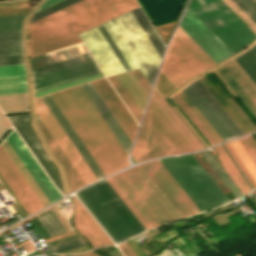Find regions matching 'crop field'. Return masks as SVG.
I'll use <instances>...</instances> for the list:
<instances>
[{"label":"crop field","instance_id":"obj_1","mask_svg":"<svg viewBox=\"0 0 256 256\" xmlns=\"http://www.w3.org/2000/svg\"><path fill=\"white\" fill-rule=\"evenodd\" d=\"M111 23L153 84L165 47L141 8L125 13ZM111 23L105 22L80 34L92 56L106 77L139 68L147 79Z\"/></svg>","mask_w":256,"mask_h":256},{"label":"crop field","instance_id":"obj_2","mask_svg":"<svg viewBox=\"0 0 256 256\" xmlns=\"http://www.w3.org/2000/svg\"><path fill=\"white\" fill-rule=\"evenodd\" d=\"M135 0H82L28 25L30 58L81 43L78 33L137 7Z\"/></svg>","mask_w":256,"mask_h":256},{"label":"crop field","instance_id":"obj_3","mask_svg":"<svg viewBox=\"0 0 256 256\" xmlns=\"http://www.w3.org/2000/svg\"><path fill=\"white\" fill-rule=\"evenodd\" d=\"M216 63L233 55L210 30L187 9L179 25ZM178 26L160 72L177 88L216 63Z\"/></svg>","mask_w":256,"mask_h":256},{"label":"crop field","instance_id":"obj_4","mask_svg":"<svg viewBox=\"0 0 256 256\" xmlns=\"http://www.w3.org/2000/svg\"><path fill=\"white\" fill-rule=\"evenodd\" d=\"M106 176L123 169L122 150L80 86L51 94Z\"/></svg>","mask_w":256,"mask_h":256},{"label":"crop field","instance_id":"obj_5","mask_svg":"<svg viewBox=\"0 0 256 256\" xmlns=\"http://www.w3.org/2000/svg\"><path fill=\"white\" fill-rule=\"evenodd\" d=\"M75 194L115 244L145 231L105 179Z\"/></svg>","mask_w":256,"mask_h":256},{"label":"crop field","instance_id":"obj_6","mask_svg":"<svg viewBox=\"0 0 256 256\" xmlns=\"http://www.w3.org/2000/svg\"><path fill=\"white\" fill-rule=\"evenodd\" d=\"M159 161L200 212L229 202L192 154Z\"/></svg>","mask_w":256,"mask_h":256},{"label":"crop field","instance_id":"obj_7","mask_svg":"<svg viewBox=\"0 0 256 256\" xmlns=\"http://www.w3.org/2000/svg\"><path fill=\"white\" fill-rule=\"evenodd\" d=\"M112 178L152 227L181 219L139 165Z\"/></svg>","mask_w":256,"mask_h":256},{"label":"crop field","instance_id":"obj_8","mask_svg":"<svg viewBox=\"0 0 256 256\" xmlns=\"http://www.w3.org/2000/svg\"><path fill=\"white\" fill-rule=\"evenodd\" d=\"M188 8L233 54L256 38L222 0H192Z\"/></svg>","mask_w":256,"mask_h":256},{"label":"crop field","instance_id":"obj_9","mask_svg":"<svg viewBox=\"0 0 256 256\" xmlns=\"http://www.w3.org/2000/svg\"><path fill=\"white\" fill-rule=\"evenodd\" d=\"M141 126L166 155L194 150L152 97Z\"/></svg>","mask_w":256,"mask_h":256},{"label":"crop field","instance_id":"obj_10","mask_svg":"<svg viewBox=\"0 0 256 256\" xmlns=\"http://www.w3.org/2000/svg\"><path fill=\"white\" fill-rule=\"evenodd\" d=\"M140 166L182 218L199 213L158 160L140 164Z\"/></svg>","mask_w":256,"mask_h":256},{"label":"crop field","instance_id":"obj_11","mask_svg":"<svg viewBox=\"0 0 256 256\" xmlns=\"http://www.w3.org/2000/svg\"><path fill=\"white\" fill-rule=\"evenodd\" d=\"M34 102L37 115L44 123L54 140L57 142L85 184L87 185L96 181V178L89 170L81 156L78 154L70 140L67 138L59 124L56 122L48 108L45 106L41 98L35 99Z\"/></svg>","mask_w":256,"mask_h":256},{"label":"crop field","instance_id":"obj_12","mask_svg":"<svg viewBox=\"0 0 256 256\" xmlns=\"http://www.w3.org/2000/svg\"><path fill=\"white\" fill-rule=\"evenodd\" d=\"M21 138L24 140L30 151L33 153L39 164L42 166L46 174L49 176L56 188L64 195L59 171L55 164L51 161L46 151L42 147L37 135L35 134L31 124L29 115L8 117Z\"/></svg>","mask_w":256,"mask_h":256},{"label":"crop field","instance_id":"obj_13","mask_svg":"<svg viewBox=\"0 0 256 256\" xmlns=\"http://www.w3.org/2000/svg\"><path fill=\"white\" fill-rule=\"evenodd\" d=\"M0 175L28 215L44 208L0 145Z\"/></svg>","mask_w":256,"mask_h":256},{"label":"crop field","instance_id":"obj_14","mask_svg":"<svg viewBox=\"0 0 256 256\" xmlns=\"http://www.w3.org/2000/svg\"><path fill=\"white\" fill-rule=\"evenodd\" d=\"M48 201L52 204L62 198L13 130L6 139Z\"/></svg>","mask_w":256,"mask_h":256},{"label":"crop field","instance_id":"obj_15","mask_svg":"<svg viewBox=\"0 0 256 256\" xmlns=\"http://www.w3.org/2000/svg\"><path fill=\"white\" fill-rule=\"evenodd\" d=\"M91 84L122 129L125 131L129 139L133 142L138 125L113 91L109 83L106 79L102 78L91 82Z\"/></svg>","mask_w":256,"mask_h":256},{"label":"crop field","instance_id":"obj_16","mask_svg":"<svg viewBox=\"0 0 256 256\" xmlns=\"http://www.w3.org/2000/svg\"><path fill=\"white\" fill-rule=\"evenodd\" d=\"M100 73L94 60L33 78L34 93Z\"/></svg>","mask_w":256,"mask_h":256},{"label":"crop field","instance_id":"obj_17","mask_svg":"<svg viewBox=\"0 0 256 256\" xmlns=\"http://www.w3.org/2000/svg\"><path fill=\"white\" fill-rule=\"evenodd\" d=\"M72 200L74 203L72 222L75 230L81 233L93 248L113 244L75 196Z\"/></svg>","mask_w":256,"mask_h":256},{"label":"crop field","instance_id":"obj_18","mask_svg":"<svg viewBox=\"0 0 256 256\" xmlns=\"http://www.w3.org/2000/svg\"><path fill=\"white\" fill-rule=\"evenodd\" d=\"M182 91L223 140L236 137L192 83L185 87Z\"/></svg>","mask_w":256,"mask_h":256},{"label":"crop field","instance_id":"obj_19","mask_svg":"<svg viewBox=\"0 0 256 256\" xmlns=\"http://www.w3.org/2000/svg\"><path fill=\"white\" fill-rule=\"evenodd\" d=\"M92 85V84H91ZM90 85V83L81 85V88L91 101V103L94 105L114 137L117 139L123 150L128 155L130 147L132 145L131 141L128 139L124 131L121 129L119 124L116 122L112 114L109 112L105 104L102 102L100 97L97 95L93 87Z\"/></svg>","mask_w":256,"mask_h":256},{"label":"crop field","instance_id":"obj_20","mask_svg":"<svg viewBox=\"0 0 256 256\" xmlns=\"http://www.w3.org/2000/svg\"><path fill=\"white\" fill-rule=\"evenodd\" d=\"M27 92L24 64L0 66V94Z\"/></svg>","mask_w":256,"mask_h":256},{"label":"crop field","instance_id":"obj_21","mask_svg":"<svg viewBox=\"0 0 256 256\" xmlns=\"http://www.w3.org/2000/svg\"><path fill=\"white\" fill-rule=\"evenodd\" d=\"M39 129L41 130L50 150L54 154V156L57 158V160L62 165L64 172H65V178L67 180L68 189L70 191L79 188L84 185L80 177L77 175L67 158L64 156L58 145L55 143L51 135L48 133L44 125L41 123V121L36 122Z\"/></svg>","mask_w":256,"mask_h":256},{"label":"crop field","instance_id":"obj_22","mask_svg":"<svg viewBox=\"0 0 256 256\" xmlns=\"http://www.w3.org/2000/svg\"><path fill=\"white\" fill-rule=\"evenodd\" d=\"M131 155L138 161L164 156L163 151L150 136L140 127Z\"/></svg>","mask_w":256,"mask_h":256},{"label":"crop field","instance_id":"obj_23","mask_svg":"<svg viewBox=\"0 0 256 256\" xmlns=\"http://www.w3.org/2000/svg\"><path fill=\"white\" fill-rule=\"evenodd\" d=\"M151 96L169 116V118L174 122V124L179 128V130L184 134V136L189 140V142L194 146V148L196 150L203 149V146L200 144L194 134L189 130V128L184 124V122L179 118V116L173 111V109L167 104V102L158 94L155 89H153Z\"/></svg>","mask_w":256,"mask_h":256},{"label":"crop field","instance_id":"obj_24","mask_svg":"<svg viewBox=\"0 0 256 256\" xmlns=\"http://www.w3.org/2000/svg\"><path fill=\"white\" fill-rule=\"evenodd\" d=\"M0 108L5 115L29 113L27 93L0 95Z\"/></svg>","mask_w":256,"mask_h":256},{"label":"crop field","instance_id":"obj_25","mask_svg":"<svg viewBox=\"0 0 256 256\" xmlns=\"http://www.w3.org/2000/svg\"><path fill=\"white\" fill-rule=\"evenodd\" d=\"M23 54L22 31L0 33V56Z\"/></svg>","mask_w":256,"mask_h":256},{"label":"crop field","instance_id":"obj_26","mask_svg":"<svg viewBox=\"0 0 256 256\" xmlns=\"http://www.w3.org/2000/svg\"><path fill=\"white\" fill-rule=\"evenodd\" d=\"M117 77L122 82L128 93L131 95L137 106L143 112L148 97L137 83L133 75L130 73V71H128L125 73L117 74Z\"/></svg>","mask_w":256,"mask_h":256},{"label":"crop field","instance_id":"obj_27","mask_svg":"<svg viewBox=\"0 0 256 256\" xmlns=\"http://www.w3.org/2000/svg\"><path fill=\"white\" fill-rule=\"evenodd\" d=\"M225 68L230 72L234 79L239 83L243 90L248 94L252 101L256 104V86L234 61L227 64Z\"/></svg>","mask_w":256,"mask_h":256},{"label":"crop field","instance_id":"obj_28","mask_svg":"<svg viewBox=\"0 0 256 256\" xmlns=\"http://www.w3.org/2000/svg\"><path fill=\"white\" fill-rule=\"evenodd\" d=\"M195 87L200 91V93L205 97V99L210 103V105L215 109V111L220 115V117L225 121V123L230 127V129L235 133L236 136H242V132L234 124V122L229 118L213 96L208 92L200 80L192 82Z\"/></svg>","mask_w":256,"mask_h":256},{"label":"crop field","instance_id":"obj_29","mask_svg":"<svg viewBox=\"0 0 256 256\" xmlns=\"http://www.w3.org/2000/svg\"><path fill=\"white\" fill-rule=\"evenodd\" d=\"M209 92L214 96L230 118L235 122L239 129L243 132L244 135L251 133L249 129L244 125V123L239 119L235 112L230 108V106L225 102V100L220 96L216 89L211 85V83L206 79L205 76L199 78Z\"/></svg>","mask_w":256,"mask_h":256},{"label":"crop field","instance_id":"obj_30","mask_svg":"<svg viewBox=\"0 0 256 256\" xmlns=\"http://www.w3.org/2000/svg\"><path fill=\"white\" fill-rule=\"evenodd\" d=\"M108 80L110 81L114 89L117 91V93L119 94V96L121 97V99L123 100L127 108L129 109V111L132 113V115L136 119V121L139 123L142 113L139 110V108L136 106V104L134 103L130 95L127 93V91L125 90L121 82L118 80L116 75L108 77Z\"/></svg>","mask_w":256,"mask_h":256},{"label":"crop field","instance_id":"obj_31","mask_svg":"<svg viewBox=\"0 0 256 256\" xmlns=\"http://www.w3.org/2000/svg\"><path fill=\"white\" fill-rule=\"evenodd\" d=\"M234 59L256 85V52L253 48L251 47Z\"/></svg>","mask_w":256,"mask_h":256},{"label":"crop field","instance_id":"obj_32","mask_svg":"<svg viewBox=\"0 0 256 256\" xmlns=\"http://www.w3.org/2000/svg\"><path fill=\"white\" fill-rule=\"evenodd\" d=\"M216 70L223 77V79L228 83V85L233 89V91L238 95V97L242 100V102L247 106V108L252 112V114L256 117L255 104L250 100V98L245 94V92L240 88V86L225 70L223 65Z\"/></svg>","mask_w":256,"mask_h":256},{"label":"crop field","instance_id":"obj_33","mask_svg":"<svg viewBox=\"0 0 256 256\" xmlns=\"http://www.w3.org/2000/svg\"><path fill=\"white\" fill-rule=\"evenodd\" d=\"M214 149L219 154L216 157L224 165V167L230 173V175L235 180V182L238 184V186L242 189V191L245 194L248 193L250 191L249 188L247 187V185L245 184V182L243 181V179L241 178V176L239 175V173L237 172V170L235 169V167L233 166V164L231 163V161L229 160V158L227 157V155L225 154V152L223 151L221 146H218Z\"/></svg>","mask_w":256,"mask_h":256},{"label":"crop field","instance_id":"obj_34","mask_svg":"<svg viewBox=\"0 0 256 256\" xmlns=\"http://www.w3.org/2000/svg\"><path fill=\"white\" fill-rule=\"evenodd\" d=\"M172 98L178 104V106L183 110V112L187 115V117L191 120V122L196 126V128L200 131V133L205 137V139L210 143V145L216 143L215 139L210 135V133L201 124V122L197 119V117L193 114V112L188 108V106L184 103V101L179 97V95L177 94Z\"/></svg>","mask_w":256,"mask_h":256},{"label":"crop field","instance_id":"obj_35","mask_svg":"<svg viewBox=\"0 0 256 256\" xmlns=\"http://www.w3.org/2000/svg\"><path fill=\"white\" fill-rule=\"evenodd\" d=\"M88 60H92V57L90 56V54L84 55V56H81V57H78V58H74V59H71V60H67V61H64V62H60V63L54 64V65H50V66H47V67H43V68H40V69H37V70H33L32 71V77L38 76V75H41V74H44V73H48V72H51V71H55V70H58V69H61V68H65V67H68V66H71V65H75V64H78V63H82V62H85V61H88Z\"/></svg>","mask_w":256,"mask_h":256},{"label":"crop field","instance_id":"obj_36","mask_svg":"<svg viewBox=\"0 0 256 256\" xmlns=\"http://www.w3.org/2000/svg\"><path fill=\"white\" fill-rule=\"evenodd\" d=\"M202 156L206 159V161L210 164V166L214 169V171L218 174V176L223 180V182L227 185V187L231 190V192L235 195L236 198L242 197L241 193L238 191L233 182L227 177V175L223 172L220 166L216 163V161L209 155L207 151L201 152Z\"/></svg>","mask_w":256,"mask_h":256},{"label":"crop field","instance_id":"obj_37","mask_svg":"<svg viewBox=\"0 0 256 256\" xmlns=\"http://www.w3.org/2000/svg\"><path fill=\"white\" fill-rule=\"evenodd\" d=\"M230 145L232 146L235 153L237 154V156L239 157V159L243 163L244 167L246 168V170L248 171V173L250 174V176L252 177L253 181L256 184V167H255V165L253 164V162L251 161V159L249 158L247 153L244 151V149L242 148V146L240 145L238 140L231 142Z\"/></svg>","mask_w":256,"mask_h":256},{"label":"crop field","instance_id":"obj_38","mask_svg":"<svg viewBox=\"0 0 256 256\" xmlns=\"http://www.w3.org/2000/svg\"><path fill=\"white\" fill-rule=\"evenodd\" d=\"M106 180L111 185V187L116 191V193L120 196V198L124 201V203L128 206V208L132 211V213L141 222V224L145 227V229L148 230V229L152 228L150 226V224L145 220V218L140 214V212L136 209V207L131 203V201L122 192V190L113 181L114 179L112 180V178L109 177V178H106Z\"/></svg>","mask_w":256,"mask_h":256},{"label":"crop field","instance_id":"obj_39","mask_svg":"<svg viewBox=\"0 0 256 256\" xmlns=\"http://www.w3.org/2000/svg\"><path fill=\"white\" fill-rule=\"evenodd\" d=\"M25 15L0 17V32L17 31L21 29V23Z\"/></svg>","mask_w":256,"mask_h":256},{"label":"crop field","instance_id":"obj_40","mask_svg":"<svg viewBox=\"0 0 256 256\" xmlns=\"http://www.w3.org/2000/svg\"><path fill=\"white\" fill-rule=\"evenodd\" d=\"M234 3L256 24V1L233 0Z\"/></svg>","mask_w":256,"mask_h":256},{"label":"crop field","instance_id":"obj_41","mask_svg":"<svg viewBox=\"0 0 256 256\" xmlns=\"http://www.w3.org/2000/svg\"><path fill=\"white\" fill-rule=\"evenodd\" d=\"M180 97L185 101L189 108L194 112L202 124L207 128L211 135L216 139L217 142L222 141L220 136L215 132V130L210 126V124L205 120V118L199 113V111L194 107V105L189 101V99L181 91L178 93Z\"/></svg>","mask_w":256,"mask_h":256},{"label":"crop field","instance_id":"obj_42","mask_svg":"<svg viewBox=\"0 0 256 256\" xmlns=\"http://www.w3.org/2000/svg\"><path fill=\"white\" fill-rule=\"evenodd\" d=\"M102 77H103V75H102V73H100V74L93 75V76H90V77H87V78H84V79H80V80H77V81H74V82H71V83H68V84L58 86V87H55V88H51V89H48V90H45V91H42V92L35 93L34 96L35 97L41 96V95H44V94H47V93L58 91V90H61V89H64V88L75 86V85L85 83V82H88V81H92V80L102 78Z\"/></svg>","mask_w":256,"mask_h":256},{"label":"crop field","instance_id":"obj_43","mask_svg":"<svg viewBox=\"0 0 256 256\" xmlns=\"http://www.w3.org/2000/svg\"><path fill=\"white\" fill-rule=\"evenodd\" d=\"M239 142L256 165V141L252 135L239 139Z\"/></svg>","mask_w":256,"mask_h":256},{"label":"crop field","instance_id":"obj_44","mask_svg":"<svg viewBox=\"0 0 256 256\" xmlns=\"http://www.w3.org/2000/svg\"><path fill=\"white\" fill-rule=\"evenodd\" d=\"M155 88L163 95H167L176 89L160 72L156 81ZM166 97V96H165Z\"/></svg>","mask_w":256,"mask_h":256},{"label":"crop field","instance_id":"obj_45","mask_svg":"<svg viewBox=\"0 0 256 256\" xmlns=\"http://www.w3.org/2000/svg\"><path fill=\"white\" fill-rule=\"evenodd\" d=\"M225 147L227 148V150L229 151V153L231 154V156L233 157V159L235 160V162L237 163V165L239 166V168L241 169V171L243 172V174L245 175V177L247 178V180L249 181V183L251 184L253 189L256 188V185L252 181L251 177L249 176V174L243 167L242 163L240 162V160L238 159V157L236 156V154L234 153V151L232 150L230 145L227 143V144H225Z\"/></svg>","mask_w":256,"mask_h":256},{"label":"crop field","instance_id":"obj_46","mask_svg":"<svg viewBox=\"0 0 256 256\" xmlns=\"http://www.w3.org/2000/svg\"><path fill=\"white\" fill-rule=\"evenodd\" d=\"M131 73L134 75V77L136 78L138 83L141 85V87L143 88L145 93L149 96V92H150L151 87L148 84V82L146 81V79L143 77V75L141 74L139 69L133 70V71H131Z\"/></svg>","mask_w":256,"mask_h":256},{"label":"crop field","instance_id":"obj_47","mask_svg":"<svg viewBox=\"0 0 256 256\" xmlns=\"http://www.w3.org/2000/svg\"><path fill=\"white\" fill-rule=\"evenodd\" d=\"M24 63L23 55L0 57V65Z\"/></svg>","mask_w":256,"mask_h":256},{"label":"crop field","instance_id":"obj_48","mask_svg":"<svg viewBox=\"0 0 256 256\" xmlns=\"http://www.w3.org/2000/svg\"><path fill=\"white\" fill-rule=\"evenodd\" d=\"M11 128L10 123L0 111V139Z\"/></svg>","mask_w":256,"mask_h":256},{"label":"crop field","instance_id":"obj_49","mask_svg":"<svg viewBox=\"0 0 256 256\" xmlns=\"http://www.w3.org/2000/svg\"><path fill=\"white\" fill-rule=\"evenodd\" d=\"M118 248L122 251L124 256H135L129 246L125 243L118 245Z\"/></svg>","mask_w":256,"mask_h":256},{"label":"crop field","instance_id":"obj_50","mask_svg":"<svg viewBox=\"0 0 256 256\" xmlns=\"http://www.w3.org/2000/svg\"><path fill=\"white\" fill-rule=\"evenodd\" d=\"M59 1H61V0H45L44 3L38 8L37 11H39V10H41L43 8H46V7H48V6H50V5L54 4V3H57Z\"/></svg>","mask_w":256,"mask_h":256},{"label":"crop field","instance_id":"obj_51","mask_svg":"<svg viewBox=\"0 0 256 256\" xmlns=\"http://www.w3.org/2000/svg\"><path fill=\"white\" fill-rule=\"evenodd\" d=\"M74 256H99V255L96 254L94 251H90V252H86V253H83V254H77V255H74Z\"/></svg>","mask_w":256,"mask_h":256},{"label":"crop field","instance_id":"obj_52","mask_svg":"<svg viewBox=\"0 0 256 256\" xmlns=\"http://www.w3.org/2000/svg\"><path fill=\"white\" fill-rule=\"evenodd\" d=\"M254 48V50L256 51V43L252 46Z\"/></svg>","mask_w":256,"mask_h":256}]
</instances>
